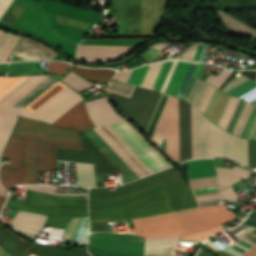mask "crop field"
Masks as SVG:
<instances>
[{"label": "crop field", "mask_w": 256, "mask_h": 256, "mask_svg": "<svg viewBox=\"0 0 256 256\" xmlns=\"http://www.w3.org/2000/svg\"><path fill=\"white\" fill-rule=\"evenodd\" d=\"M198 206L181 177L127 197L89 199L90 221L126 220ZM235 218L220 205L203 206L133 219L137 235H184L210 229Z\"/></svg>", "instance_id": "8a807250"}, {"label": "crop field", "mask_w": 256, "mask_h": 256, "mask_svg": "<svg viewBox=\"0 0 256 256\" xmlns=\"http://www.w3.org/2000/svg\"><path fill=\"white\" fill-rule=\"evenodd\" d=\"M66 87L67 86L65 84L59 81L25 108L33 113ZM134 87L135 86L133 85L124 84L117 81L116 85L112 84L107 91L130 98ZM70 91H72V89L67 87L44 106L34 112V114L36 116L41 115ZM81 101H83L81 96L73 90L45 113L39 116V118L52 124ZM85 105L91 120L96 126L124 121V119L120 117L110 106L106 97L88 101L85 103ZM86 110L83 101L58 121H56L53 125L57 127L75 128L77 131L95 127L88 117Z\"/></svg>", "instance_id": "ac0d7876"}, {"label": "crop field", "mask_w": 256, "mask_h": 256, "mask_svg": "<svg viewBox=\"0 0 256 256\" xmlns=\"http://www.w3.org/2000/svg\"><path fill=\"white\" fill-rule=\"evenodd\" d=\"M124 123L167 167L172 165L157 149L152 147L128 121H124ZM124 123L120 122L109 126L133 149V151L154 172L166 168V166L144 145V143ZM94 129L84 130V132L119 165L124 183L140 178ZM84 132H78L84 152L58 149L57 160L94 164L95 176L108 172H120L118 165Z\"/></svg>", "instance_id": "34b2d1b8"}, {"label": "crop field", "mask_w": 256, "mask_h": 256, "mask_svg": "<svg viewBox=\"0 0 256 256\" xmlns=\"http://www.w3.org/2000/svg\"><path fill=\"white\" fill-rule=\"evenodd\" d=\"M57 148L83 151L81 144L48 141L19 133H12L3 156L11 164H2L0 179L9 191L19 184H36L38 172L56 168Z\"/></svg>", "instance_id": "412701ff"}, {"label": "crop field", "mask_w": 256, "mask_h": 256, "mask_svg": "<svg viewBox=\"0 0 256 256\" xmlns=\"http://www.w3.org/2000/svg\"><path fill=\"white\" fill-rule=\"evenodd\" d=\"M53 195H85L55 193V187L21 186ZM26 190V200L9 198L6 207L49 216L45 225L66 228L71 217L86 216L85 196H53Z\"/></svg>", "instance_id": "f4fd0767"}, {"label": "crop field", "mask_w": 256, "mask_h": 256, "mask_svg": "<svg viewBox=\"0 0 256 256\" xmlns=\"http://www.w3.org/2000/svg\"><path fill=\"white\" fill-rule=\"evenodd\" d=\"M202 65L176 60L160 61L133 70L128 83L148 87L185 100Z\"/></svg>", "instance_id": "dd49c442"}, {"label": "crop field", "mask_w": 256, "mask_h": 256, "mask_svg": "<svg viewBox=\"0 0 256 256\" xmlns=\"http://www.w3.org/2000/svg\"><path fill=\"white\" fill-rule=\"evenodd\" d=\"M169 95L160 93L144 133L160 148L165 150L168 139L155 130L158 120ZM161 133L170 139L165 152L179 163V131H178V99L169 97L162 116L156 127Z\"/></svg>", "instance_id": "e52e79f7"}, {"label": "crop field", "mask_w": 256, "mask_h": 256, "mask_svg": "<svg viewBox=\"0 0 256 256\" xmlns=\"http://www.w3.org/2000/svg\"><path fill=\"white\" fill-rule=\"evenodd\" d=\"M25 77H0V96ZM57 80L43 76L26 77L0 97V106H26Z\"/></svg>", "instance_id": "d8731c3e"}, {"label": "crop field", "mask_w": 256, "mask_h": 256, "mask_svg": "<svg viewBox=\"0 0 256 256\" xmlns=\"http://www.w3.org/2000/svg\"><path fill=\"white\" fill-rule=\"evenodd\" d=\"M88 250L98 256H142L143 238L132 235L91 234Z\"/></svg>", "instance_id": "5a996713"}, {"label": "crop field", "mask_w": 256, "mask_h": 256, "mask_svg": "<svg viewBox=\"0 0 256 256\" xmlns=\"http://www.w3.org/2000/svg\"><path fill=\"white\" fill-rule=\"evenodd\" d=\"M158 94V92L137 87L131 99L119 95L109 96V98L144 131Z\"/></svg>", "instance_id": "3316defc"}, {"label": "crop field", "mask_w": 256, "mask_h": 256, "mask_svg": "<svg viewBox=\"0 0 256 256\" xmlns=\"http://www.w3.org/2000/svg\"><path fill=\"white\" fill-rule=\"evenodd\" d=\"M211 157H225L248 166V140L228 134L210 122Z\"/></svg>", "instance_id": "28ad6ade"}, {"label": "crop field", "mask_w": 256, "mask_h": 256, "mask_svg": "<svg viewBox=\"0 0 256 256\" xmlns=\"http://www.w3.org/2000/svg\"><path fill=\"white\" fill-rule=\"evenodd\" d=\"M14 131L48 140L80 143L75 129L57 128L45 122L22 117L19 118Z\"/></svg>", "instance_id": "d1516ede"}, {"label": "crop field", "mask_w": 256, "mask_h": 256, "mask_svg": "<svg viewBox=\"0 0 256 256\" xmlns=\"http://www.w3.org/2000/svg\"><path fill=\"white\" fill-rule=\"evenodd\" d=\"M180 175V172L173 167L127 185L118 186L117 190L109 191L108 188L90 189L89 198L127 196Z\"/></svg>", "instance_id": "22f410ed"}, {"label": "crop field", "mask_w": 256, "mask_h": 256, "mask_svg": "<svg viewBox=\"0 0 256 256\" xmlns=\"http://www.w3.org/2000/svg\"><path fill=\"white\" fill-rule=\"evenodd\" d=\"M107 143L130 165L140 176H145L153 171L131 150V148L110 128L96 130Z\"/></svg>", "instance_id": "cbeb9de0"}, {"label": "crop field", "mask_w": 256, "mask_h": 256, "mask_svg": "<svg viewBox=\"0 0 256 256\" xmlns=\"http://www.w3.org/2000/svg\"><path fill=\"white\" fill-rule=\"evenodd\" d=\"M192 158L210 157L209 120L191 106Z\"/></svg>", "instance_id": "5142ce71"}, {"label": "crop field", "mask_w": 256, "mask_h": 256, "mask_svg": "<svg viewBox=\"0 0 256 256\" xmlns=\"http://www.w3.org/2000/svg\"><path fill=\"white\" fill-rule=\"evenodd\" d=\"M134 49L135 46L81 45L77 59L89 62L111 61Z\"/></svg>", "instance_id": "d9b57169"}, {"label": "crop field", "mask_w": 256, "mask_h": 256, "mask_svg": "<svg viewBox=\"0 0 256 256\" xmlns=\"http://www.w3.org/2000/svg\"><path fill=\"white\" fill-rule=\"evenodd\" d=\"M56 52L24 37H20L11 55L14 61L20 60H51Z\"/></svg>", "instance_id": "733c2abd"}, {"label": "crop field", "mask_w": 256, "mask_h": 256, "mask_svg": "<svg viewBox=\"0 0 256 256\" xmlns=\"http://www.w3.org/2000/svg\"><path fill=\"white\" fill-rule=\"evenodd\" d=\"M199 206L219 204L220 196L215 177L188 181Z\"/></svg>", "instance_id": "4a817a6b"}, {"label": "crop field", "mask_w": 256, "mask_h": 256, "mask_svg": "<svg viewBox=\"0 0 256 256\" xmlns=\"http://www.w3.org/2000/svg\"><path fill=\"white\" fill-rule=\"evenodd\" d=\"M8 108L17 115H20L22 117L40 120L24 107ZM9 109H7L6 107H0V155L4 149L7 139L12 131V128L17 120V115H15Z\"/></svg>", "instance_id": "bc2a9ffb"}, {"label": "crop field", "mask_w": 256, "mask_h": 256, "mask_svg": "<svg viewBox=\"0 0 256 256\" xmlns=\"http://www.w3.org/2000/svg\"><path fill=\"white\" fill-rule=\"evenodd\" d=\"M180 162L191 159L190 104L179 100Z\"/></svg>", "instance_id": "214f88e0"}, {"label": "crop field", "mask_w": 256, "mask_h": 256, "mask_svg": "<svg viewBox=\"0 0 256 256\" xmlns=\"http://www.w3.org/2000/svg\"><path fill=\"white\" fill-rule=\"evenodd\" d=\"M0 247L12 256H29L35 246L0 225Z\"/></svg>", "instance_id": "92a150f3"}, {"label": "crop field", "mask_w": 256, "mask_h": 256, "mask_svg": "<svg viewBox=\"0 0 256 256\" xmlns=\"http://www.w3.org/2000/svg\"><path fill=\"white\" fill-rule=\"evenodd\" d=\"M181 236L149 238L145 237L144 255H170Z\"/></svg>", "instance_id": "dafd665d"}, {"label": "crop field", "mask_w": 256, "mask_h": 256, "mask_svg": "<svg viewBox=\"0 0 256 256\" xmlns=\"http://www.w3.org/2000/svg\"><path fill=\"white\" fill-rule=\"evenodd\" d=\"M215 89L216 88L200 80H196L187 101L191 102L193 105L199 108L203 113H205L208 107V104L215 92Z\"/></svg>", "instance_id": "00972430"}, {"label": "crop field", "mask_w": 256, "mask_h": 256, "mask_svg": "<svg viewBox=\"0 0 256 256\" xmlns=\"http://www.w3.org/2000/svg\"><path fill=\"white\" fill-rule=\"evenodd\" d=\"M62 239L72 241V242L87 244L88 217L72 218Z\"/></svg>", "instance_id": "a9b5d70f"}, {"label": "crop field", "mask_w": 256, "mask_h": 256, "mask_svg": "<svg viewBox=\"0 0 256 256\" xmlns=\"http://www.w3.org/2000/svg\"><path fill=\"white\" fill-rule=\"evenodd\" d=\"M46 219V216L19 211L10 225L39 233Z\"/></svg>", "instance_id": "4177f3b9"}, {"label": "crop field", "mask_w": 256, "mask_h": 256, "mask_svg": "<svg viewBox=\"0 0 256 256\" xmlns=\"http://www.w3.org/2000/svg\"><path fill=\"white\" fill-rule=\"evenodd\" d=\"M219 189L222 190L247 178L248 170L234 166L232 169L216 168Z\"/></svg>", "instance_id": "730fd06b"}, {"label": "crop field", "mask_w": 256, "mask_h": 256, "mask_svg": "<svg viewBox=\"0 0 256 256\" xmlns=\"http://www.w3.org/2000/svg\"><path fill=\"white\" fill-rule=\"evenodd\" d=\"M256 86V83L246 78L245 76H240L232 81H230L222 91L227 94L233 95L235 97L241 95L242 93L248 91L249 89Z\"/></svg>", "instance_id": "eef30255"}, {"label": "crop field", "mask_w": 256, "mask_h": 256, "mask_svg": "<svg viewBox=\"0 0 256 256\" xmlns=\"http://www.w3.org/2000/svg\"><path fill=\"white\" fill-rule=\"evenodd\" d=\"M72 71L80 74L86 80L104 82V83H108L110 80V77L114 73V70H110V69L90 70V69L79 68V67H75V66L73 67Z\"/></svg>", "instance_id": "ae1a2a85"}, {"label": "crop field", "mask_w": 256, "mask_h": 256, "mask_svg": "<svg viewBox=\"0 0 256 256\" xmlns=\"http://www.w3.org/2000/svg\"><path fill=\"white\" fill-rule=\"evenodd\" d=\"M78 186L95 187L93 165L76 163Z\"/></svg>", "instance_id": "d3111659"}, {"label": "crop field", "mask_w": 256, "mask_h": 256, "mask_svg": "<svg viewBox=\"0 0 256 256\" xmlns=\"http://www.w3.org/2000/svg\"><path fill=\"white\" fill-rule=\"evenodd\" d=\"M223 22L224 25L249 37V38H256V31L251 29L250 27L246 26L245 24L241 23L240 21L236 20L235 18L231 17L230 15L222 12V11H218Z\"/></svg>", "instance_id": "750c4746"}, {"label": "crop field", "mask_w": 256, "mask_h": 256, "mask_svg": "<svg viewBox=\"0 0 256 256\" xmlns=\"http://www.w3.org/2000/svg\"><path fill=\"white\" fill-rule=\"evenodd\" d=\"M32 254L37 256H90L85 251H70L66 249L48 248L36 245Z\"/></svg>", "instance_id": "bd1437ed"}, {"label": "crop field", "mask_w": 256, "mask_h": 256, "mask_svg": "<svg viewBox=\"0 0 256 256\" xmlns=\"http://www.w3.org/2000/svg\"><path fill=\"white\" fill-rule=\"evenodd\" d=\"M20 36L0 31V62L7 60Z\"/></svg>", "instance_id": "1d83c4d3"}, {"label": "crop field", "mask_w": 256, "mask_h": 256, "mask_svg": "<svg viewBox=\"0 0 256 256\" xmlns=\"http://www.w3.org/2000/svg\"><path fill=\"white\" fill-rule=\"evenodd\" d=\"M138 0H128L127 34H137Z\"/></svg>", "instance_id": "120bbe31"}, {"label": "crop field", "mask_w": 256, "mask_h": 256, "mask_svg": "<svg viewBox=\"0 0 256 256\" xmlns=\"http://www.w3.org/2000/svg\"><path fill=\"white\" fill-rule=\"evenodd\" d=\"M203 47H205V45L201 42H198L176 58L187 61H201L203 55Z\"/></svg>", "instance_id": "d32e631a"}, {"label": "crop field", "mask_w": 256, "mask_h": 256, "mask_svg": "<svg viewBox=\"0 0 256 256\" xmlns=\"http://www.w3.org/2000/svg\"><path fill=\"white\" fill-rule=\"evenodd\" d=\"M62 81H64L65 83L72 86L73 88H75L78 91L85 89L91 85L90 83L83 80L82 78H80L79 76L75 75L72 72L70 74H68Z\"/></svg>", "instance_id": "5866460e"}, {"label": "crop field", "mask_w": 256, "mask_h": 256, "mask_svg": "<svg viewBox=\"0 0 256 256\" xmlns=\"http://www.w3.org/2000/svg\"><path fill=\"white\" fill-rule=\"evenodd\" d=\"M222 230H224V228L222 227V225H220V226L212 228L210 230L185 235V236L182 237V239H185V240H205L207 237H209V236H211V235H213L217 232H220Z\"/></svg>", "instance_id": "028f5c9d"}, {"label": "crop field", "mask_w": 256, "mask_h": 256, "mask_svg": "<svg viewBox=\"0 0 256 256\" xmlns=\"http://www.w3.org/2000/svg\"><path fill=\"white\" fill-rule=\"evenodd\" d=\"M254 244L248 242L245 239H242L237 244L233 245L231 248L227 250H223L230 254L231 256H240L245 251H247L249 248H251Z\"/></svg>", "instance_id": "e1f06a70"}, {"label": "crop field", "mask_w": 256, "mask_h": 256, "mask_svg": "<svg viewBox=\"0 0 256 256\" xmlns=\"http://www.w3.org/2000/svg\"><path fill=\"white\" fill-rule=\"evenodd\" d=\"M165 46H167V44L165 43L154 44L150 48H148L144 54L141 55V58L147 59V60H157V59L165 58L157 54Z\"/></svg>", "instance_id": "0bd39190"}, {"label": "crop field", "mask_w": 256, "mask_h": 256, "mask_svg": "<svg viewBox=\"0 0 256 256\" xmlns=\"http://www.w3.org/2000/svg\"><path fill=\"white\" fill-rule=\"evenodd\" d=\"M26 6H27V3L18 1V3L16 4L12 12L9 14L7 19L5 20V23L14 25V23L16 22V20L18 19V17L23 12Z\"/></svg>", "instance_id": "b80d0937"}, {"label": "crop field", "mask_w": 256, "mask_h": 256, "mask_svg": "<svg viewBox=\"0 0 256 256\" xmlns=\"http://www.w3.org/2000/svg\"><path fill=\"white\" fill-rule=\"evenodd\" d=\"M232 72L233 71L222 70L218 77L210 74L209 78L207 79V82L214 84L217 88L220 89V87L223 85V83L226 81V79L230 76Z\"/></svg>", "instance_id": "c035e120"}, {"label": "crop field", "mask_w": 256, "mask_h": 256, "mask_svg": "<svg viewBox=\"0 0 256 256\" xmlns=\"http://www.w3.org/2000/svg\"><path fill=\"white\" fill-rule=\"evenodd\" d=\"M70 67H71V65H68V64L58 63V62H50L48 73H55V74L62 75Z\"/></svg>", "instance_id": "c21b1889"}, {"label": "crop field", "mask_w": 256, "mask_h": 256, "mask_svg": "<svg viewBox=\"0 0 256 256\" xmlns=\"http://www.w3.org/2000/svg\"><path fill=\"white\" fill-rule=\"evenodd\" d=\"M54 17H55V21L58 23L71 25V26H75L83 29H86L87 26L89 25L88 23H84V22H80V21H76V20H72V19H68V18L56 16V15H54Z\"/></svg>", "instance_id": "03da06ac"}, {"label": "crop field", "mask_w": 256, "mask_h": 256, "mask_svg": "<svg viewBox=\"0 0 256 256\" xmlns=\"http://www.w3.org/2000/svg\"><path fill=\"white\" fill-rule=\"evenodd\" d=\"M256 228L253 227H249V226H243L240 225L237 228H235L233 231H231L235 237L239 240L242 237H244L247 233H250L251 231H253Z\"/></svg>", "instance_id": "b54c1fbb"}, {"label": "crop field", "mask_w": 256, "mask_h": 256, "mask_svg": "<svg viewBox=\"0 0 256 256\" xmlns=\"http://www.w3.org/2000/svg\"><path fill=\"white\" fill-rule=\"evenodd\" d=\"M256 165V141L249 140V167Z\"/></svg>", "instance_id": "5d738f31"}, {"label": "crop field", "mask_w": 256, "mask_h": 256, "mask_svg": "<svg viewBox=\"0 0 256 256\" xmlns=\"http://www.w3.org/2000/svg\"><path fill=\"white\" fill-rule=\"evenodd\" d=\"M131 72L132 70L127 72H117L114 78L126 82Z\"/></svg>", "instance_id": "d23c7cc5"}, {"label": "crop field", "mask_w": 256, "mask_h": 256, "mask_svg": "<svg viewBox=\"0 0 256 256\" xmlns=\"http://www.w3.org/2000/svg\"><path fill=\"white\" fill-rule=\"evenodd\" d=\"M10 229L22 234L23 236H25L28 239L34 240V238L36 237V234L30 233V232H27V231H24V230L12 228V227Z\"/></svg>", "instance_id": "425ffa30"}, {"label": "crop field", "mask_w": 256, "mask_h": 256, "mask_svg": "<svg viewBox=\"0 0 256 256\" xmlns=\"http://www.w3.org/2000/svg\"><path fill=\"white\" fill-rule=\"evenodd\" d=\"M12 0H0V18Z\"/></svg>", "instance_id": "25e5ab78"}, {"label": "crop field", "mask_w": 256, "mask_h": 256, "mask_svg": "<svg viewBox=\"0 0 256 256\" xmlns=\"http://www.w3.org/2000/svg\"><path fill=\"white\" fill-rule=\"evenodd\" d=\"M0 194L1 195H5V196H7L8 194L6 193V191L0 186ZM0 195V199H4V200H6V198L7 197H5V196H1ZM4 200H0V210H1V208H2V206H3V204H4Z\"/></svg>", "instance_id": "73cf0c24"}, {"label": "crop field", "mask_w": 256, "mask_h": 256, "mask_svg": "<svg viewBox=\"0 0 256 256\" xmlns=\"http://www.w3.org/2000/svg\"><path fill=\"white\" fill-rule=\"evenodd\" d=\"M242 224L256 227V218L247 217Z\"/></svg>", "instance_id": "89e229c0"}, {"label": "crop field", "mask_w": 256, "mask_h": 256, "mask_svg": "<svg viewBox=\"0 0 256 256\" xmlns=\"http://www.w3.org/2000/svg\"><path fill=\"white\" fill-rule=\"evenodd\" d=\"M241 256H256V246H254L253 248H251L249 251H247Z\"/></svg>", "instance_id": "1f2cbd36"}, {"label": "crop field", "mask_w": 256, "mask_h": 256, "mask_svg": "<svg viewBox=\"0 0 256 256\" xmlns=\"http://www.w3.org/2000/svg\"><path fill=\"white\" fill-rule=\"evenodd\" d=\"M252 233L250 235H248L247 237H245V238L249 239L251 242L256 244V235H254Z\"/></svg>", "instance_id": "dbb93151"}, {"label": "crop field", "mask_w": 256, "mask_h": 256, "mask_svg": "<svg viewBox=\"0 0 256 256\" xmlns=\"http://www.w3.org/2000/svg\"><path fill=\"white\" fill-rule=\"evenodd\" d=\"M205 245L213 248V249H216V250H220L216 245H214L209 239L208 241L205 243Z\"/></svg>", "instance_id": "0fb4a251"}, {"label": "crop field", "mask_w": 256, "mask_h": 256, "mask_svg": "<svg viewBox=\"0 0 256 256\" xmlns=\"http://www.w3.org/2000/svg\"><path fill=\"white\" fill-rule=\"evenodd\" d=\"M197 256H209V255L205 254V253L202 252V251H199L198 254H197Z\"/></svg>", "instance_id": "1d79db26"}, {"label": "crop field", "mask_w": 256, "mask_h": 256, "mask_svg": "<svg viewBox=\"0 0 256 256\" xmlns=\"http://www.w3.org/2000/svg\"><path fill=\"white\" fill-rule=\"evenodd\" d=\"M0 256H10V255L0 250Z\"/></svg>", "instance_id": "9d1cf04e"}, {"label": "crop field", "mask_w": 256, "mask_h": 256, "mask_svg": "<svg viewBox=\"0 0 256 256\" xmlns=\"http://www.w3.org/2000/svg\"><path fill=\"white\" fill-rule=\"evenodd\" d=\"M252 104L256 107V101L252 102Z\"/></svg>", "instance_id": "447ae74e"}, {"label": "crop field", "mask_w": 256, "mask_h": 256, "mask_svg": "<svg viewBox=\"0 0 256 256\" xmlns=\"http://www.w3.org/2000/svg\"><path fill=\"white\" fill-rule=\"evenodd\" d=\"M248 72H252V71H248ZM252 73H254V72H252Z\"/></svg>", "instance_id": "0765c3eb"}, {"label": "crop field", "mask_w": 256, "mask_h": 256, "mask_svg": "<svg viewBox=\"0 0 256 256\" xmlns=\"http://www.w3.org/2000/svg\"><path fill=\"white\" fill-rule=\"evenodd\" d=\"M30 256H34V255L30 254Z\"/></svg>", "instance_id": "db79e9e6"}]
</instances>
